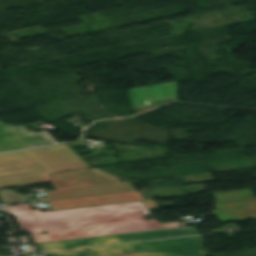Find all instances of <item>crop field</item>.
Wrapping results in <instances>:
<instances>
[{
    "label": "crop field",
    "mask_w": 256,
    "mask_h": 256,
    "mask_svg": "<svg viewBox=\"0 0 256 256\" xmlns=\"http://www.w3.org/2000/svg\"><path fill=\"white\" fill-rule=\"evenodd\" d=\"M54 143L45 132L32 133L23 126L0 124V152Z\"/></svg>",
    "instance_id": "4"
},
{
    "label": "crop field",
    "mask_w": 256,
    "mask_h": 256,
    "mask_svg": "<svg viewBox=\"0 0 256 256\" xmlns=\"http://www.w3.org/2000/svg\"><path fill=\"white\" fill-rule=\"evenodd\" d=\"M199 236L127 245L45 253L48 256H108L136 252L138 256H199L209 254Z\"/></svg>",
    "instance_id": "2"
},
{
    "label": "crop field",
    "mask_w": 256,
    "mask_h": 256,
    "mask_svg": "<svg viewBox=\"0 0 256 256\" xmlns=\"http://www.w3.org/2000/svg\"><path fill=\"white\" fill-rule=\"evenodd\" d=\"M5 209L16 217L23 230L33 235L36 242L184 226L179 222L165 223L166 226L157 220L145 221L142 215L150 212L142 202L45 213L31 210L29 204ZM140 211H144L143 214Z\"/></svg>",
    "instance_id": "1"
},
{
    "label": "crop field",
    "mask_w": 256,
    "mask_h": 256,
    "mask_svg": "<svg viewBox=\"0 0 256 256\" xmlns=\"http://www.w3.org/2000/svg\"><path fill=\"white\" fill-rule=\"evenodd\" d=\"M144 199L138 192L52 201L53 209Z\"/></svg>",
    "instance_id": "7"
},
{
    "label": "crop field",
    "mask_w": 256,
    "mask_h": 256,
    "mask_svg": "<svg viewBox=\"0 0 256 256\" xmlns=\"http://www.w3.org/2000/svg\"><path fill=\"white\" fill-rule=\"evenodd\" d=\"M132 107L152 106L153 101L173 97L177 101L175 82L129 90Z\"/></svg>",
    "instance_id": "5"
},
{
    "label": "crop field",
    "mask_w": 256,
    "mask_h": 256,
    "mask_svg": "<svg viewBox=\"0 0 256 256\" xmlns=\"http://www.w3.org/2000/svg\"><path fill=\"white\" fill-rule=\"evenodd\" d=\"M195 234H198L195 228L188 227V228H178V229H170V230L120 234V235L95 237V238H87V239H79V240H71V241L41 243V244H33V245H37L42 251H49V250L80 248V247L114 244V243H125V242L142 241V240L159 239V238L178 237V236L195 235Z\"/></svg>",
    "instance_id": "3"
},
{
    "label": "crop field",
    "mask_w": 256,
    "mask_h": 256,
    "mask_svg": "<svg viewBox=\"0 0 256 256\" xmlns=\"http://www.w3.org/2000/svg\"><path fill=\"white\" fill-rule=\"evenodd\" d=\"M119 256H137V255H136V253H133V254L119 255Z\"/></svg>",
    "instance_id": "11"
},
{
    "label": "crop field",
    "mask_w": 256,
    "mask_h": 256,
    "mask_svg": "<svg viewBox=\"0 0 256 256\" xmlns=\"http://www.w3.org/2000/svg\"><path fill=\"white\" fill-rule=\"evenodd\" d=\"M143 203L147 207V209H153V208L158 207L157 204L153 200L143 201Z\"/></svg>",
    "instance_id": "9"
},
{
    "label": "crop field",
    "mask_w": 256,
    "mask_h": 256,
    "mask_svg": "<svg viewBox=\"0 0 256 256\" xmlns=\"http://www.w3.org/2000/svg\"><path fill=\"white\" fill-rule=\"evenodd\" d=\"M0 123H3V121L0 120Z\"/></svg>",
    "instance_id": "12"
},
{
    "label": "crop field",
    "mask_w": 256,
    "mask_h": 256,
    "mask_svg": "<svg viewBox=\"0 0 256 256\" xmlns=\"http://www.w3.org/2000/svg\"><path fill=\"white\" fill-rule=\"evenodd\" d=\"M59 182L63 181L62 173L58 174Z\"/></svg>",
    "instance_id": "10"
},
{
    "label": "crop field",
    "mask_w": 256,
    "mask_h": 256,
    "mask_svg": "<svg viewBox=\"0 0 256 256\" xmlns=\"http://www.w3.org/2000/svg\"><path fill=\"white\" fill-rule=\"evenodd\" d=\"M218 201L223 200H234L254 197L250 189L240 190V191H228L220 192L215 194Z\"/></svg>",
    "instance_id": "8"
},
{
    "label": "crop field",
    "mask_w": 256,
    "mask_h": 256,
    "mask_svg": "<svg viewBox=\"0 0 256 256\" xmlns=\"http://www.w3.org/2000/svg\"><path fill=\"white\" fill-rule=\"evenodd\" d=\"M217 209L213 211L220 222L242 220L247 218L256 219V200L241 201L233 203L216 204ZM226 206V208H224ZM254 215V216H250Z\"/></svg>",
    "instance_id": "6"
}]
</instances>
